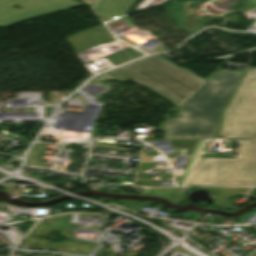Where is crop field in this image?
Listing matches in <instances>:
<instances>
[{
  "mask_svg": "<svg viewBox=\"0 0 256 256\" xmlns=\"http://www.w3.org/2000/svg\"><path fill=\"white\" fill-rule=\"evenodd\" d=\"M80 1H83L85 3L92 5L95 0H80Z\"/></svg>",
  "mask_w": 256,
  "mask_h": 256,
  "instance_id": "e52e79f7",
  "label": "crop field"
},
{
  "mask_svg": "<svg viewBox=\"0 0 256 256\" xmlns=\"http://www.w3.org/2000/svg\"><path fill=\"white\" fill-rule=\"evenodd\" d=\"M221 137H256V69L247 70L225 109ZM256 185V139H244L236 159L198 158L187 185Z\"/></svg>",
  "mask_w": 256,
  "mask_h": 256,
  "instance_id": "8a807250",
  "label": "crop field"
},
{
  "mask_svg": "<svg viewBox=\"0 0 256 256\" xmlns=\"http://www.w3.org/2000/svg\"><path fill=\"white\" fill-rule=\"evenodd\" d=\"M136 0H99L94 9L104 20L118 18L127 13Z\"/></svg>",
  "mask_w": 256,
  "mask_h": 256,
  "instance_id": "f4fd0767",
  "label": "crop field"
},
{
  "mask_svg": "<svg viewBox=\"0 0 256 256\" xmlns=\"http://www.w3.org/2000/svg\"><path fill=\"white\" fill-rule=\"evenodd\" d=\"M243 73L220 69L185 101L179 118H168L159 129L165 139L213 138L223 107L228 103Z\"/></svg>",
  "mask_w": 256,
  "mask_h": 256,
  "instance_id": "ac0d7876",
  "label": "crop field"
},
{
  "mask_svg": "<svg viewBox=\"0 0 256 256\" xmlns=\"http://www.w3.org/2000/svg\"><path fill=\"white\" fill-rule=\"evenodd\" d=\"M24 8L16 11L11 6ZM83 5L74 0H0V26H9L28 19Z\"/></svg>",
  "mask_w": 256,
  "mask_h": 256,
  "instance_id": "412701ff",
  "label": "crop field"
},
{
  "mask_svg": "<svg viewBox=\"0 0 256 256\" xmlns=\"http://www.w3.org/2000/svg\"><path fill=\"white\" fill-rule=\"evenodd\" d=\"M93 79L98 82L132 80L177 107L207 82L158 55H150Z\"/></svg>",
  "mask_w": 256,
  "mask_h": 256,
  "instance_id": "34b2d1b8",
  "label": "crop field"
},
{
  "mask_svg": "<svg viewBox=\"0 0 256 256\" xmlns=\"http://www.w3.org/2000/svg\"><path fill=\"white\" fill-rule=\"evenodd\" d=\"M203 143H204V140H199L198 141V143H197V145L195 147V150H194V152H193V154L191 156V159H190V161H189V163H188V165H187L183 175L181 176V178H180V180L178 182V184H179L178 186L184 185V183H185V181L187 179L188 173H189V171H190V169H191V167H192V165H193V163H194V161H195V159H196V157H197V155H198V153H199Z\"/></svg>",
  "mask_w": 256,
  "mask_h": 256,
  "instance_id": "dd49c442",
  "label": "crop field"
}]
</instances>
